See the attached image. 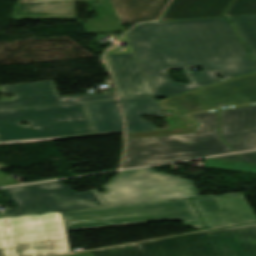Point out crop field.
Here are the masks:
<instances>
[{"mask_svg":"<svg viewBox=\"0 0 256 256\" xmlns=\"http://www.w3.org/2000/svg\"><path fill=\"white\" fill-rule=\"evenodd\" d=\"M126 35L157 97L168 98L256 71V62L223 18L141 23ZM190 67H201L203 72H190ZM170 69L183 70L188 84L172 82ZM217 72L224 79L218 80Z\"/></svg>","mask_w":256,"mask_h":256,"instance_id":"crop-field-1","label":"crop field"},{"mask_svg":"<svg viewBox=\"0 0 256 256\" xmlns=\"http://www.w3.org/2000/svg\"><path fill=\"white\" fill-rule=\"evenodd\" d=\"M172 220L204 227L188 198L0 218V256L65 254V231Z\"/></svg>","mask_w":256,"mask_h":256,"instance_id":"crop-field-2","label":"crop field"},{"mask_svg":"<svg viewBox=\"0 0 256 256\" xmlns=\"http://www.w3.org/2000/svg\"><path fill=\"white\" fill-rule=\"evenodd\" d=\"M69 256H256V224Z\"/></svg>","mask_w":256,"mask_h":256,"instance_id":"crop-field-3","label":"crop field"},{"mask_svg":"<svg viewBox=\"0 0 256 256\" xmlns=\"http://www.w3.org/2000/svg\"><path fill=\"white\" fill-rule=\"evenodd\" d=\"M90 136L97 135L84 104L0 112V145Z\"/></svg>","mask_w":256,"mask_h":256,"instance_id":"crop-field-4","label":"crop field"},{"mask_svg":"<svg viewBox=\"0 0 256 256\" xmlns=\"http://www.w3.org/2000/svg\"><path fill=\"white\" fill-rule=\"evenodd\" d=\"M193 116L196 134L126 140L122 168L232 152L219 138L217 111Z\"/></svg>","mask_w":256,"mask_h":256,"instance_id":"crop-field-5","label":"crop field"},{"mask_svg":"<svg viewBox=\"0 0 256 256\" xmlns=\"http://www.w3.org/2000/svg\"><path fill=\"white\" fill-rule=\"evenodd\" d=\"M99 190L94 192L105 206L199 196L191 181L151 168L118 172Z\"/></svg>","mask_w":256,"mask_h":256,"instance_id":"crop-field-6","label":"crop field"},{"mask_svg":"<svg viewBox=\"0 0 256 256\" xmlns=\"http://www.w3.org/2000/svg\"><path fill=\"white\" fill-rule=\"evenodd\" d=\"M171 109L186 126L199 125L191 114L256 103V72L157 101Z\"/></svg>","mask_w":256,"mask_h":256,"instance_id":"crop-field-7","label":"crop field"},{"mask_svg":"<svg viewBox=\"0 0 256 256\" xmlns=\"http://www.w3.org/2000/svg\"><path fill=\"white\" fill-rule=\"evenodd\" d=\"M1 191L16 207L4 216L104 206L93 191L75 193L59 181Z\"/></svg>","mask_w":256,"mask_h":256,"instance_id":"crop-field-8","label":"crop field"},{"mask_svg":"<svg viewBox=\"0 0 256 256\" xmlns=\"http://www.w3.org/2000/svg\"><path fill=\"white\" fill-rule=\"evenodd\" d=\"M0 92L16 96L15 100L0 101V111L115 100L114 93L61 97L53 81L0 86Z\"/></svg>","mask_w":256,"mask_h":256,"instance_id":"crop-field-9","label":"crop field"},{"mask_svg":"<svg viewBox=\"0 0 256 256\" xmlns=\"http://www.w3.org/2000/svg\"><path fill=\"white\" fill-rule=\"evenodd\" d=\"M208 229L256 221L241 193L191 198Z\"/></svg>","mask_w":256,"mask_h":256,"instance_id":"crop-field-10","label":"crop field"},{"mask_svg":"<svg viewBox=\"0 0 256 256\" xmlns=\"http://www.w3.org/2000/svg\"><path fill=\"white\" fill-rule=\"evenodd\" d=\"M120 100L154 97L133 53L105 56Z\"/></svg>","mask_w":256,"mask_h":256,"instance_id":"crop-field-11","label":"crop field"},{"mask_svg":"<svg viewBox=\"0 0 256 256\" xmlns=\"http://www.w3.org/2000/svg\"><path fill=\"white\" fill-rule=\"evenodd\" d=\"M223 139L235 150L256 148V105L220 111Z\"/></svg>","mask_w":256,"mask_h":256,"instance_id":"crop-field-12","label":"crop field"},{"mask_svg":"<svg viewBox=\"0 0 256 256\" xmlns=\"http://www.w3.org/2000/svg\"><path fill=\"white\" fill-rule=\"evenodd\" d=\"M11 19L76 20L73 0H17Z\"/></svg>","mask_w":256,"mask_h":256,"instance_id":"crop-field-13","label":"crop field"},{"mask_svg":"<svg viewBox=\"0 0 256 256\" xmlns=\"http://www.w3.org/2000/svg\"><path fill=\"white\" fill-rule=\"evenodd\" d=\"M232 0H173L159 21L222 16Z\"/></svg>","mask_w":256,"mask_h":256,"instance_id":"crop-field-14","label":"crop field"},{"mask_svg":"<svg viewBox=\"0 0 256 256\" xmlns=\"http://www.w3.org/2000/svg\"><path fill=\"white\" fill-rule=\"evenodd\" d=\"M169 0H110L121 23L155 20Z\"/></svg>","mask_w":256,"mask_h":256,"instance_id":"crop-field-15","label":"crop field"},{"mask_svg":"<svg viewBox=\"0 0 256 256\" xmlns=\"http://www.w3.org/2000/svg\"><path fill=\"white\" fill-rule=\"evenodd\" d=\"M126 123V133L157 129L140 115L163 117L155 98L119 101ZM154 112L153 113H151Z\"/></svg>","mask_w":256,"mask_h":256,"instance_id":"crop-field-16","label":"crop field"},{"mask_svg":"<svg viewBox=\"0 0 256 256\" xmlns=\"http://www.w3.org/2000/svg\"><path fill=\"white\" fill-rule=\"evenodd\" d=\"M98 135L123 133L116 101L85 104Z\"/></svg>","mask_w":256,"mask_h":256,"instance_id":"crop-field-17","label":"crop field"},{"mask_svg":"<svg viewBox=\"0 0 256 256\" xmlns=\"http://www.w3.org/2000/svg\"><path fill=\"white\" fill-rule=\"evenodd\" d=\"M236 27L253 56H256V15L227 17Z\"/></svg>","mask_w":256,"mask_h":256,"instance_id":"crop-field-18","label":"crop field"},{"mask_svg":"<svg viewBox=\"0 0 256 256\" xmlns=\"http://www.w3.org/2000/svg\"><path fill=\"white\" fill-rule=\"evenodd\" d=\"M205 168L256 174V164L205 159Z\"/></svg>","mask_w":256,"mask_h":256,"instance_id":"crop-field-19","label":"crop field"},{"mask_svg":"<svg viewBox=\"0 0 256 256\" xmlns=\"http://www.w3.org/2000/svg\"><path fill=\"white\" fill-rule=\"evenodd\" d=\"M88 34L105 33L123 30L118 20L84 23Z\"/></svg>","mask_w":256,"mask_h":256,"instance_id":"crop-field-20","label":"crop field"},{"mask_svg":"<svg viewBox=\"0 0 256 256\" xmlns=\"http://www.w3.org/2000/svg\"><path fill=\"white\" fill-rule=\"evenodd\" d=\"M181 133H195V126L130 133V134H128L129 135L128 139L151 137V136H161V135H171V134H181Z\"/></svg>","mask_w":256,"mask_h":256,"instance_id":"crop-field-21","label":"crop field"},{"mask_svg":"<svg viewBox=\"0 0 256 256\" xmlns=\"http://www.w3.org/2000/svg\"><path fill=\"white\" fill-rule=\"evenodd\" d=\"M256 14V0H235L226 16Z\"/></svg>","mask_w":256,"mask_h":256,"instance_id":"crop-field-22","label":"crop field"},{"mask_svg":"<svg viewBox=\"0 0 256 256\" xmlns=\"http://www.w3.org/2000/svg\"><path fill=\"white\" fill-rule=\"evenodd\" d=\"M6 174V173H5ZM4 173H2L0 171V186H7V185H16L18 184L16 181L14 180H8L6 179L8 176L5 175Z\"/></svg>","mask_w":256,"mask_h":256,"instance_id":"crop-field-23","label":"crop field"},{"mask_svg":"<svg viewBox=\"0 0 256 256\" xmlns=\"http://www.w3.org/2000/svg\"><path fill=\"white\" fill-rule=\"evenodd\" d=\"M239 156L243 158L246 162L256 163V152L240 154Z\"/></svg>","mask_w":256,"mask_h":256,"instance_id":"crop-field-24","label":"crop field"},{"mask_svg":"<svg viewBox=\"0 0 256 256\" xmlns=\"http://www.w3.org/2000/svg\"><path fill=\"white\" fill-rule=\"evenodd\" d=\"M214 159H222V160L243 162L237 155L218 157V158H214Z\"/></svg>","mask_w":256,"mask_h":256,"instance_id":"crop-field-25","label":"crop field"},{"mask_svg":"<svg viewBox=\"0 0 256 256\" xmlns=\"http://www.w3.org/2000/svg\"><path fill=\"white\" fill-rule=\"evenodd\" d=\"M256 58V57H255Z\"/></svg>","mask_w":256,"mask_h":256,"instance_id":"crop-field-26","label":"crop field"}]
</instances>
